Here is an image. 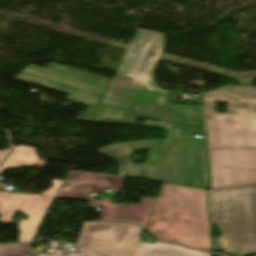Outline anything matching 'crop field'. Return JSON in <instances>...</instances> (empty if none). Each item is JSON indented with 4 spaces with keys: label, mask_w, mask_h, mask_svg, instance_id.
<instances>
[{
    "label": "crop field",
    "mask_w": 256,
    "mask_h": 256,
    "mask_svg": "<svg viewBox=\"0 0 256 256\" xmlns=\"http://www.w3.org/2000/svg\"><path fill=\"white\" fill-rule=\"evenodd\" d=\"M139 117H146V116H142V115H138V114H134V113H130V112H126V111H122V110H118V109L100 105L98 108V111L94 117L93 122L139 125V124L133 123ZM146 118L158 120V119H154V118H150V117H146ZM159 121H162V120H159ZM139 126H151V127L160 128V129L165 130L164 121H162V123L146 121L143 125H139Z\"/></svg>",
    "instance_id": "crop-field-11"
},
{
    "label": "crop field",
    "mask_w": 256,
    "mask_h": 256,
    "mask_svg": "<svg viewBox=\"0 0 256 256\" xmlns=\"http://www.w3.org/2000/svg\"><path fill=\"white\" fill-rule=\"evenodd\" d=\"M112 200L97 201L98 206L104 207L101 220L128 221L144 227L156 199L143 198L141 204H112Z\"/></svg>",
    "instance_id": "crop-field-10"
},
{
    "label": "crop field",
    "mask_w": 256,
    "mask_h": 256,
    "mask_svg": "<svg viewBox=\"0 0 256 256\" xmlns=\"http://www.w3.org/2000/svg\"><path fill=\"white\" fill-rule=\"evenodd\" d=\"M212 189L256 183V148H209Z\"/></svg>",
    "instance_id": "crop-field-7"
},
{
    "label": "crop field",
    "mask_w": 256,
    "mask_h": 256,
    "mask_svg": "<svg viewBox=\"0 0 256 256\" xmlns=\"http://www.w3.org/2000/svg\"><path fill=\"white\" fill-rule=\"evenodd\" d=\"M211 221L223 233L217 241L224 252L256 251V184L209 190Z\"/></svg>",
    "instance_id": "crop-field-4"
},
{
    "label": "crop field",
    "mask_w": 256,
    "mask_h": 256,
    "mask_svg": "<svg viewBox=\"0 0 256 256\" xmlns=\"http://www.w3.org/2000/svg\"><path fill=\"white\" fill-rule=\"evenodd\" d=\"M67 99L89 106L86 113H84V112L78 113L75 120L87 121V122L92 121V119H93V117H94V115L97 111V108L99 106L98 104H95V103H92V102H89V101H86V100H82V99H79V98H76V97H73V96H70V95H68ZM83 115H85L84 118H83Z\"/></svg>",
    "instance_id": "crop-field-16"
},
{
    "label": "crop field",
    "mask_w": 256,
    "mask_h": 256,
    "mask_svg": "<svg viewBox=\"0 0 256 256\" xmlns=\"http://www.w3.org/2000/svg\"><path fill=\"white\" fill-rule=\"evenodd\" d=\"M84 252H86V256H104L100 253H97V252H94V251H91V250H88V249H85L84 248ZM39 256H44V254H38ZM54 256H65V255H55Z\"/></svg>",
    "instance_id": "crop-field-17"
},
{
    "label": "crop field",
    "mask_w": 256,
    "mask_h": 256,
    "mask_svg": "<svg viewBox=\"0 0 256 256\" xmlns=\"http://www.w3.org/2000/svg\"><path fill=\"white\" fill-rule=\"evenodd\" d=\"M145 228L162 241L211 252L206 190L162 183Z\"/></svg>",
    "instance_id": "crop-field-3"
},
{
    "label": "crop field",
    "mask_w": 256,
    "mask_h": 256,
    "mask_svg": "<svg viewBox=\"0 0 256 256\" xmlns=\"http://www.w3.org/2000/svg\"><path fill=\"white\" fill-rule=\"evenodd\" d=\"M52 183L53 186L43 194H18L15 201L6 199L8 192H0V214H2L0 221L11 222L17 211L29 216L27 221L19 223V231H21L19 242L33 240L61 181L53 179Z\"/></svg>",
    "instance_id": "crop-field-8"
},
{
    "label": "crop field",
    "mask_w": 256,
    "mask_h": 256,
    "mask_svg": "<svg viewBox=\"0 0 256 256\" xmlns=\"http://www.w3.org/2000/svg\"><path fill=\"white\" fill-rule=\"evenodd\" d=\"M16 196H17V194L9 193V195L7 196V198L14 200V199L16 198Z\"/></svg>",
    "instance_id": "crop-field-19"
},
{
    "label": "crop field",
    "mask_w": 256,
    "mask_h": 256,
    "mask_svg": "<svg viewBox=\"0 0 256 256\" xmlns=\"http://www.w3.org/2000/svg\"><path fill=\"white\" fill-rule=\"evenodd\" d=\"M0 256H32L31 244L0 246Z\"/></svg>",
    "instance_id": "crop-field-15"
},
{
    "label": "crop field",
    "mask_w": 256,
    "mask_h": 256,
    "mask_svg": "<svg viewBox=\"0 0 256 256\" xmlns=\"http://www.w3.org/2000/svg\"><path fill=\"white\" fill-rule=\"evenodd\" d=\"M38 158L35 149L25 146L16 147L9 158L0 167V173L7 168H15L24 165L43 167L46 162Z\"/></svg>",
    "instance_id": "crop-field-13"
},
{
    "label": "crop field",
    "mask_w": 256,
    "mask_h": 256,
    "mask_svg": "<svg viewBox=\"0 0 256 256\" xmlns=\"http://www.w3.org/2000/svg\"><path fill=\"white\" fill-rule=\"evenodd\" d=\"M230 89V91H227ZM243 92V94H239ZM205 98L256 100V88L251 87H224L205 94Z\"/></svg>",
    "instance_id": "crop-field-14"
},
{
    "label": "crop field",
    "mask_w": 256,
    "mask_h": 256,
    "mask_svg": "<svg viewBox=\"0 0 256 256\" xmlns=\"http://www.w3.org/2000/svg\"><path fill=\"white\" fill-rule=\"evenodd\" d=\"M142 231L126 223H86L76 245L105 256H133Z\"/></svg>",
    "instance_id": "crop-field-6"
},
{
    "label": "crop field",
    "mask_w": 256,
    "mask_h": 256,
    "mask_svg": "<svg viewBox=\"0 0 256 256\" xmlns=\"http://www.w3.org/2000/svg\"><path fill=\"white\" fill-rule=\"evenodd\" d=\"M9 150L10 149L4 150V151H0V162L5 157V155L9 152Z\"/></svg>",
    "instance_id": "crop-field-18"
},
{
    "label": "crop field",
    "mask_w": 256,
    "mask_h": 256,
    "mask_svg": "<svg viewBox=\"0 0 256 256\" xmlns=\"http://www.w3.org/2000/svg\"><path fill=\"white\" fill-rule=\"evenodd\" d=\"M169 140H144L119 143L98 149L120 165V176L210 189L206 130L167 122ZM204 138H194L193 135ZM149 150L148 163L132 164L133 151Z\"/></svg>",
    "instance_id": "crop-field-2"
},
{
    "label": "crop field",
    "mask_w": 256,
    "mask_h": 256,
    "mask_svg": "<svg viewBox=\"0 0 256 256\" xmlns=\"http://www.w3.org/2000/svg\"><path fill=\"white\" fill-rule=\"evenodd\" d=\"M134 256H211V254L158 242L154 244L140 242Z\"/></svg>",
    "instance_id": "crop-field-12"
},
{
    "label": "crop field",
    "mask_w": 256,
    "mask_h": 256,
    "mask_svg": "<svg viewBox=\"0 0 256 256\" xmlns=\"http://www.w3.org/2000/svg\"><path fill=\"white\" fill-rule=\"evenodd\" d=\"M163 50V33L138 29L101 104L204 129L202 106L170 105L167 91L156 87L153 71Z\"/></svg>",
    "instance_id": "crop-field-1"
},
{
    "label": "crop field",
    "mask_w": 256,
    "mask_h": 256,
    "mask_svg": "<svg viewBox=\"0 0 256 256\" xmlns=\"http://www.w3.org/2000/svg\"><path fill=\"white\" fill-rule=\"evenodd\" d=\"M221 102L228 114L216 113V101L205 100L208 147H256V103Z\"/></svg>",
    "instance_id": "crop-field-5"
},
{
    "label": "crop field",
    "mask_w": 256,
    "mask_h": 256,
    "mask_svg": "<svg viewBox=\"0 0 256 256\" xmlns=\"http://www.w3.org/2000/svg\"><path fill=\"white\" fill-rule=\"evenodd\" d=\"M124 177L89 172H68V181H63L56 196L60 198L89 200V208H95L89 193H99L106 189L121 191Z\"/></svg>",
    "instance_id": "crop-field-9"
}]
</instances>
